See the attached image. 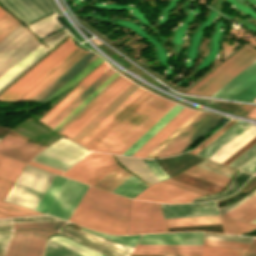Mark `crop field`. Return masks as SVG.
Listing matches in <instances>:
<instances>
[{
	"label": "crop field",
	"mask_w": 256,
	"mask_h": 256,
	"mask_svg": "<svg viewBox=\"0 0 256 256\" xmlns=\"http://www.w3.org/2000/svg\"><path fill=\"white\" fill-rule=\"evenodd\" d=\"M130 176L132 175L125 172L118 166L109 174H107L104 178H102L100 181L94 184V186L111 191L119 184L124 182L126 179H128Z\"/></svg>",
	"instance_id": "0bd39190"
},
{
	"label": "crop field",
	"mask_w": 256,
	"mask_h": 256,
	"mask_svg": "<svg viewBox=\"0 0 256 256\" xmlns=\"http://www.w3.org/2000/svg\"><path fill=\"white\" fill-rule=\"evenodd\" d=\"M98 55L93 52H89L82 59H80L77 63H75L71 68H69L66 72H64L60 77H58L54 82H52L49 86H47L43 91H41L38 95H36L30 101H44L50 95H52L56 90H58L61 86H63L66 82H68L72 77H74L77 73H79L82 69H84L88 64H90L94 59L97 58Z\"/></svg>",
	"instance_id": "a9b5d70f"
},
{
	"label": "crop field",
	"mask_w": 256,
	"mask_h": 256,
	"mask_svg": "<svg viewBox=\"0 0 256 256\" xmlns=\"http://www.w3.org/2000/svg\"><path fill=\"white\" fill-rule=\"evenodd\" d=\"M207 204H213V205L202 206V207H189V206L207 205ZM161 206H162L165 219L219 215L217 208L204 209V208L216 207V204L214 201L209 203H195V204H177V205L161 204Z\"/></svg>",
	"instance_id": "00972430"
},
{
	"label": "crop field",
	"mask_w": 256,
	"mask_h": 256,
	"mask_svg": "<svg viewBox=\"0 0 256 256\" xmlns=\"http://www.w3.org/2000/svg\"><path fill=\"white\" fill-rule=\"evenodd\" d=\"M198 101H202V100H198ZM202 102H205V103H208V104H211L212 102L210 101H202Z\"/></svg>",
	"instance_id": "180be81f"
},
{
	"label": "crop field",
	"mask_w": 256,
	"mask_h": 256,
	"mask_svg": "<svg viewBox=\"0 0 256 256\" xmlns=\"http://www.w3.org/2000/svg\"><path fill=\"white\" fill-rule=\"evenodd\" d=\"M55 174L25 166L6 202L35 210Z\"/></svg>",
	"instance_id": "ac0d7876"
},
{
	"label": "crop field",
	"mask_w": 256,
	"mask_h": 256,
	"mask_svg": "<svg viewBox=\"0 0 256 256\" xmlns=\"http://www.w3.org/2000/svg\"><path fill=\"white\" fill-rule=\"evenodd\" d=\"M144 160V159H143ZM144 162L147 164V166L151 169V171L155 174V176L158 178L159 181L164 180L166 178H169L164 171L160 168V166L156 163L155 160L149 161L144 160ZM153 174V175H154ZM156 178V179H157Z\"/></svg>",
	"instance_id": "7b73153f"
},
{
	"label": "crop field",
	"mask_w": 256,
	"mask_h": 256,
	"mask_svg": "<svg viewBox=\"0 0 256 256\" xmlns=\"http://www.w3.org/2000/svg\"><path fill=\"white\" fill-rule=\"evenodd\" d=\"M37 221H61L48 216L26 217L0 220V256H5L12 232L13 223L37 222ZM65 222V221H63Z\"/></svg>",
	"instance_id": "eef30255"
},
{
	"label": "crop field",
	"mask_w": 256,
	"mask_h": 256,
	"mask_svg": "<svg viewBox=\"0 0 256 256\" xmlns=\"http://www.w3.org/2000/svg\"><path fill=\"white\" fill-rule=\"evenodd\" d=\"M252 222L256 223V219H255V220H253Z\"/></svg>",
	"instance_id": "819c52e7"
},
{
	"label": "crop field",
	"mask_w": 256,
	"mask_h": 256,
	"mask_svg": "<svg viewBox=\"0 0 256 256\" xmlns=\"http://www.w3.org/2000/svg\"><path fill=\"white\" fill-rule=\"evenodd\" d=\"M86 53H88V51L77 47L13 101H29Z\"/></svg>",
	"instance_id": "733c2abd"
},
{
	"label": "crop field",
	"mask_w": 256,
	"mask_h": 256,
	"mask_svg": "<svg viewBox=\"0 0 256 256\" xmlns=\"http://www.w3.org/2000/svg\"><path fill=\"white\" fill-rule=\"evenodd\" d=\"M43 256H82L52 240H48Z\"/></svg>",
	"instance_id": "25e5ab78"
},
{
	"label": "crop field",
	"mask_w": 256,
	"mask_h": 256,
	"mask_svg": "<svg viewBox=\"0 0 256 256\" xmlns=\"http://www.w3.org/2000/svg\"><path fill=\"white\" fill-rule=\"evenodd\" d=\"M163 182H166V183H169V184H172V185L181 187V188H183V189H186V190H189V191H192V192L201 194V195L210 194V193H208V192H205V191H202V190H200V189H197V188H194V187H191V186L182 184V183H180V182H177V181H174V180H171V179L165 180V181H163Z\"/></svg>",
	"instance_id": "d14b1444"
},
{
	"label": "crop field",
	"mask_w": 256,
	"mask_h": 256,
	"mask_svg": "<svg viewBox=\"0 0 256 256\" xmlns=\"http://www.w3.org/2000/svg\"><path fill=\"white\" fill-rule=\"evenodd\" d=\"M87 187V185L67 179L47 214L68 220Z\"/></svg>",
	"instance_id": "d9b57169"
},
{
	"label": "crop field",
	"mask_w": 256,
	"mask_h": 256,
	"mask_svg": "<svg viewBox=\"0 0 256 256\" xmlns=\"http://www.w3.org/2000/svg\"><path fill=\"white\" fill-rule=\"evenodd\" d=\"M255 153H256V144L252 148H250L248 151H246L244 154H242L239 158H237L235 161H233L231 164H229V166L237 168L246 160H248L251 156H253Z\"/></svg>",
	"instance_id": "78b8030e"
},
{
	"label": "crop field",
	"mask_w": 256,
	"mask_h": 256,
	"mask_svg": "<svg viewBox=\"0 0 256 256\" xmlns=\"http://www.w3.org/2000/svg\"><path fill=\"white\" fill-rule=\"evenodd\" d=\"M164 256H167V255H164Z\"/></svg>",
	"instance_id": "a0ae1fb6"
},
{
	"label": "crop field",
	"mask_w": 256,
	"mask_h": 256,
	"mask_svg": "<svg viewBox=\"0 0 256 256\" xmlns=\"http://www.w3.org/2000/svg\"><path fill=\"white\" fill-rule=\"evenodd\" d=\"M115 71L108 69L92 85H90L79 97H77L66 109H64L54 120L47 126L51 129L58 124L67 114H69L77 105H79L88 95H90L99 85H101Z\"/></svg>",
	"instance_id": "d32e631a"
},
{
	"label": "crop field",
	"mask_w": 256,
	"mask_h": 256,
	"mask_svg": "<svg viewBox=\"0 0 256 256\" xmlns=\"http://www.w3.org/2000/svg\"><path fill=\"white\" fill-rule=\"evenodd\" d=\"M130 200L90 187L80 205L127 221Z\"/></svg>",
	"instance_id": "28ad6ade"
},
{
	"label": "crop field",
	"mask_w": 256,
	"mask_h": 256,
	"mask_svg": "<svg viewBox=\"0 0 256 256\" xmlns=\"http://www.w3.org/2000/svg\"><path fill=\"white\" fill-rule=\"evenodd\" d=\"M225 233L238 234L251 231L256 228L254 224L222 219Z\"/></svg>",
	"instance_id": "1f2cbd36"
},
{
	"label": "crop field",
	"mask_w": 256,
	"mask_h": 256,
	"mask_svg": "<svg viewBox=\"0 0 256 256\" xmlns=\"http://www.w3.org/2000/svg\"><path fill=\"white\" fill-rule=\"evenodd\" d=\"M51 234L41 230L14 231L6 256H41L45 239Z\"/></svg>",
	"instance_id": "5142ce71"
},
{
	"label": "crop field",
	"mask_w": 256,
	"mask_h": 256,
	"mask_svg": "<svg viewBox=\"0 0 256 256\" xmlns=\"http://www.w3.org/2000/svg\"><path fill=\"white\" fill-rule=\"evenodd\" d=\"M248 126L249 124L237 122L208 146L202 149L199 153H197V155L208 159Z\"/></svg>",
	"instance_id": "750c4746"
},
{
	"label": "crop field",
	"mask_w": 256,
	"mask_h": 256,
	"mask_svg": "<svg viewBox=\"0 0 256 256\" xmlns=\"http://www.w3.org/2000/svg\"><path fill=\"white\" fill-rule=\"evenodd\" d=\"M64 224L65 223H19V224H14V230L15 229H44V230H48L56 233Z\"/></svg>",
	"instance_id": "0fb4a251"
},
{
	"label": "crop field",
	"mask_w": 256,
	"mask_h": 256,
	"mask_svg": "<svg viewBox=\"0 0 256 256\" xmlns=\"http://www.w3.org/2000/svg\"><path fill=\"white\" fill-rule=\"evenodd\" d=\"M6 13H4L1 9H0V18L5 15Z\"/></svg>",
	"instance_id": "7312dd0a"
},
{
	"label": "crop field",
	"mask_w": 256,
	"mask_h": 256,
	"mask_svg": "<svg viewBox=\"0 0 256 256\" xmlns=\"http://www.w3.org/2000/svg\"><path fill=\"white\" fill-rule=\"evenodd\" d=\"M28 164L33 165V166H36V167H39V168H42V169H45V170H48V171H51V172H54V173H57V174H62V172H59V171H57V170L48 168V167H46V166L37 164V163L32 162V161L28 162Z\"/></svg>",
	"instance_id": "c5b07064"
},
{
	"label": "crop field",
	"mask_w": 256,
	"mask_h": 256,
	"mask_svg": "<svg viewBox=\"0 0 256 256\" xmlns=\"http://www.w3.org/2000/svg\"><path fill=\"white\" fill-rule=\"evenodd\" d=\"M95 60V59H94ZM101 62L97 59L93 61L90 65H88L84 70H82L79 74H77L74 78H72L68 83H66L63 87H61L58 91H56L52 96H50L45 101H50L53 98H55L57 95L77 83L79 80H81L85 75H87L91 70H93L97 65H99Z\"/></svg>",
	"instance_id": "dbb93151"
},
{
	"label": "crop field",
	"mask_w": 256,
	"mask_h": 256,
	"mask_svg": "<svg viewBox=\"0 0 256 256\" xmlns=\"http://www.w3.org/2000/svg\"><path fill=\"white\" fill-rule=\"evenodd\" d=\"M253 101H255V102H256V98H255Z\"/></svg>",
	"instance_id": "c821d689"
},
{
	"label": "crop field",
	"mask_w": 256,
	"mask_h": 256,
	"mask_svg": "<svg viewBox=\"0 0 256 256\" xmlns=\"http://www.w3.org/2000/svg\"><path fill=\"white\" fill-rule=\"evenodd\" d=\"M202 246L137 245L132 254L201 255Z\"/></svg>",
	"instance_id": "730fd06b"
},
{
	"label": "crop field",
	"mask_w": 256,
	"mask_h": 256,
	"mask_svg": "<svg viewBox=\"0 0 256 256\" xmlns=\"http://www.w3.org/2000/svg\"><path fill=\"white\" fill-rule=\"evenodd\" d=\"M69 221L89 229L109 234H125L127 224L126 221L80 205H78Z\"/></svg>",
	"instance_id": "d1516ede"
},
{
	"label": "crop field",
	"mask_w": 256,
	"mask_h": 256,
	"mask_svg": "<svg viewBox=\"0 0 256 256\" xmlns=\"http://www.w3.org/2000/svg\"><path fill=\"white\" fill-rule=\"evenodd\" d=\"M77 46L69 38L38 65L31 69L9 89L0 95V100H13ZM75 50V49H74ZM69 55V54H68Z\"/></svg>",
	"instance_id": "dd49c442"
},
{
	"label": "crop field",
	"mask_w": 256,
	"mask_h": 256,
	"mask_svg": "<svg viewBox=\"0 0 256 256\" xmlns=\"http://www.w3.org/2000/svg\"><path fill=\"white\" fill-rule=\"evenodd\" d=\"M81 230H84V231L93 233V234H95V235H98V236L103 237V238H105V239H108V240H110V241H115V242L121 243V244H123V245L132 247V248H134V246H135V244H136V242H137V240H138V238H139V236H140V235H133V236H109V235H105V234H100V233L88 231V230H85V229H83V228H81ZM81 230H80V231H81ZM84 231H82V232H84ZM84 233H86V232H84ZM86 234H88V233H86ZM88 235L93 236V237H95V238H97V239H99V240H101V241H103V242H106V243H108V244H110V245H112V246H114V247H116V248H119V249H121V250H123V251H125V252H127V253H129V254H130L131 251H132V248H129V247H126V246H122V245H118V244L111 243V242H109V241H107V240H104V239H102V238H98V237H96V236H94V235H92V234H88Z\"/></svg>",
	"instance_id": "e1f06a70"
},
{
	"label": "crop field",
	"mask_w": 256,
	"mask_h": 256,
	"mask_svg": "<svg viewBox=\"0 0 256 256\" xmlns=\"http://www.w3.org/2000/svg\"><path fill=\"white\" fill-rule=\"evenodd\" d=\"M143 90L138 89L134 94H132L122 105H120L110 116H108L98 127H96L86 138H84L80 144L84 145L89 139H91L102 127H104L114 116H116L126 105H128L138 94Z\"/></svg>",
	"instance_id": "89e229c0"
},
{
	"label": "crop field",
	"mask_w": 256,
	"mask_h": 256,
	"mask_svg": "<svg viewBox=\"0 0 256 256\" xmlns=\"http://www.w3.org/2000/svg\"><path fill=\"white\" fill-rule=\"evenodd\" d=\"M60 233L71 236V237L79 240L80 242H82V243H84V244H86V245H88V246H90V247H92V248H94V249H96L100 252H103V253L107 254L108 256H121V255L127 256L128 255V254H126V253H124V252H122L118 249H115V248H113V247H111V246H109L105 243H102V242H100V241H98L94 238H91V237H89V236H87V235H85L81 232H78V231H76V230H74V229H72L68 226H66ZM94 241L103 245V246H105V247H107V248H109V249H111V250H113V251H115V252H117V253H119V254H121V255H119V254H117V253H115V252H113V251L95 243Z\"/></svg>",
	"instance_id": "1d83c4d3"
},
{
	"label": "crop field",
	"mask_w": 256,
	"mask_h": 256,
	"mask_svg": "<svg viewBox=\"0 0 256 256\" xmlns=\"http://www.w3.org/2000/svg\"><path fill=\"white\" fill-rule=\"evenodd\" d=\"M167 227L221 223L219 216L165 220Z\"/></svg>",
	"instance_id": "b54c1fbb"
},
{
	"label": "crop field",
	"mask_w": 256,
	"mask_h": 256,
	"mask_svg": "<svg viewBox=\"0 0 256 256\" xmlns=\"http://www.w3.org/2000/svg\"><path fill=\"white\" fill-rule=\"evenodd\" d=\"M0 208L9 210L7 211V210L0 209V218L39 214V213L30 211L21 207H17L2 201H0Z\"/></svg>",
	"instance_id": "73cf0c24"
},
{
	"label": "crop field",
	"mask_w": 256,
	"mask_h": 256,
	"mask_svg": "<svg viewBox=\"0 0 256 256\" xmlns=\"http://www.w3.org/2000/svg\"><path fill=\"white\" fill-rule=\"evenodd\" d=\"M65 181H66V178L56 175L55 179L53 180L52 184L48 188L41 202L37 206L36 211L46 213V211L48 210L49 206L53 202L54 198L58 194L59 190L61 189Z\"/></svg>",
	"instance_id": "c035e120"
},
{
	"label": "crop field",
	"mask_w": 256,
	"mask_h": 256,
	"mask_svg": "<svg viewBox=\"0 0 256 256\" xmlns=\"http://www.w3.org/2000/svg\"><path fill=\"white\" fill-rule=\"evenodd\" d=\"M225 218H231L250 222L256 218V194L225 214Z\"/></svg>",
	"instance_id": "5866460e"
},
{
	"label": "crop field",
	"mask_w": 256,
	"mask_h": 256,
	"mask_svg": "<svg viewBox=\"0 0 256 256\" xmlns=\"http://www.w3.org/2000/svg\"><path fill=\"white\" fill-rule=\"evenodd\" d=\"M238 169L255 173L256 172V154L251 157L248 161H246L244 164H242Z\"/></svg>",
	"instance_id": "c39391a2"
},
{
	"label": "crop field",
	"mask_w": 256,
	"mask_h": 256,
	"mask_svg": "<svg viewBox=\"0 0 256 256\" xmlns=\"http://www.w3.org/2000/svg\"><path fill=\"white\" fill-rule=\"evenodd\" d=\"M0 3L25 25L53 12L57 17L61 15L52 0H0Z\"/></svg>",
	"instance_id": "22f410ed"
},
{
	"label": "crop field",
	"mask_w": 256,
	"mask_h": 256,
	"mask_svg": "<svg viewBox=\"0 0 256 256\" xmlns=\"http://www.w3.org/2000/svg\"><path fill=\"white\" fill-rule=\"evenodd\" d=\"M117 62H119L120 64H122V65H124V66H128L129 64L128 63H126L124 60H122L121 58L117 61ZM125 67V68H126Z\"/></svg>",
	"instance_id": "fb207236"
},
{
	"label": "crop field",
	"mask_w": 256,
	"mask_h": 256,
	"mask_svg": "<svg viewBox=\"0 0 256 256\" xmlns=\"http://www.w3.org/2000/svg\"><path fill=\"white\" fill-rule=\"evenodd\" d=\"M250 176H251V174L239 171L236 174V176L234 177V179L232 180V182L229 185V187L225 191L217 193V194H214V195H210V196H207V197H204V198L194 199V200H192V202L213 200V199H217V198H220V197H224V196L230 195L239 186H241Z\"/></svg>",
	"instance_id": "03da06ac"
},
{
	"label": "crop field",
	"mask_w": 256,
	"mask_h": 256,
	"mask_svg": "<svg viewBox=\"0 0 256 256\" xmlns=\"http://www.w3.org/2000/svg\"><path fill=\"white\" fill-rule=\"evenodd\" d=\"M147 187L148 185L132 176L112 192L129 198H134Z\"/></svg>",
	"instance_id": "b80d0937"
},
{
	"label": "crop field",
	"mask_w": 256,
	"mask_h": 256,
	"mask_svg": "<svg viewBox=\"0 0 256 256\" xmlns=\"http://www.w3.org/2000/svg\"><path fill=\"white\" fill-rule=\"evenodd\" d=\"M109 67L103 62L90 74H88L83 81L76 86L62 101H60L54 108H52L39 121L46 125L54 119L65 107H67L77 96H79L90 84H92L103 72Z\"/></svg>",
	"instance_id": "dafd665d"
},
{
	"label": "crop field",
	"mask_w": 256,
	"mask_h": 256,
	"mask_svg": "<svg viewBox=\"0 0 256 256\" xmlns=\"http://www.w3.org/2000/svg\"><path fill=\"white\" fill-rule=\"evenodd\" d=\"M15 21L7 14L0 19V41L20 25Z\"/></svg>",
	"instance_id": "9d1cf04e"
},
{
	"label": "crop field",
	"mask_w": 256,
	"mask_h": 256,
	"mask_svg": "<svg viewBox=\"0 0 256 256\" xmlns=\"http://www.w3.org/2000/svg\"><path fill=\"white\" fill-rule=\"evenodd\" d=\"M255 107L242 105L239 109L235 111V113L245 116Z\"/></svg>",
	"instance_id": "ade564c9"
},
{
	"label": "crop field",
	"mask_w": 256,
	"mask_h": 256,
	"mask_svg": "<svg viewBox=\"0 0 256 256\" xmlns=\"http://www.w3.org/2000/svg\"><path fill=\"white\" fill-rule=\"evenodd\" d=\"M122 76H118L114 81H112L102 92H100L89 104H87L76 116H74L64 127H62L58 133H60L64 128H66L74 119H76L85 109H87L95 100H97L106 90H108L117 80H119Z\"/></svg>",
	"instance_id": "0f1d7ab4"
},
{
	"label": "crop field",
	"mask_w": 256,
	"mask_h": 256,
	"mask_svg": "<svg viewBox=\"0 0 256 256\" xmlns=\"http://www.w3.org/2000/svg\"><path fill=\"white\" fill-rule=\"evenodd\" d=\"M196 196L200 195L160 182L147 188L135 199L162 203H180L189 202Z\"/></svg>",
	"instance_id": "4a817a6b"
},
{
	"label": "crop field",
	"mask_w": 256,
	"mask_h": 256,
	"mask_svg": "<svg viewBox=\"0 0 256 256\" xmlns=\"http://www.w3.org/2000/svg\"><path fill=\"white\" fill-rule=\"evenodd\" d=\"M256 96V61L210 97L250 102Z\"/></svg>",
	"instance_id": "3316defc"
},
{
	"label": "crop field",
	"mask_w": 256,
	"mask_h": 256,
	"mask_svg": "<svg viewBox=\"0 0 256 256\" xmlns=\"http://www.w3.org/2000/svg\"><path fill=\"white\" fill-rule=\"evenodd\" d=\"M255 248H256V239H254V241L252 242V244L250 245L249 249L247 250L244 256H251Z\"/></svg>",
	"instance_id": "c3a83c6f"
},
{
	"label": "crop field",
	"mask_w": 256,
	"mask_h": 256,
	"mask_svg": "<svg viewBox=\"0 0 256 256\" xmlns=\"http://www.w3.org/2000/svg\"><path fill=\"white\" fill-rule=\"evenodd\" d=\"M2 160H3V157H0V163L2 162Z\"/></svg>",
	"instance_id": "1f1604b0"
},
{
	"label": "crop field",
	"mask_w": 256,
	"mask_h": 256,
	"mask_svg": "<svg viewBox=\"0 0 256 256\" xmlns=\"http://www.w3.org/2000/svg\"><path fill=\"white\" fill-rule=\"evenodd\" d=\"M38 43L21 25L4 38L0 42V77L39 46Z\"/></svg>",
	"instance_id": "412701ff"
},
{
	"label": "crop field",
	"mask_w": 256,
	"mask_h": 256,
	"mask_svg": "<svg viewBox=\"0 0 256 256\" xmlns=\"http://www.w3.org/2000/svg\"><path fill=\"white\" fill-rule=\"evenodd\" d=\"M194 113L195 111L184 108L133 156L146 158Z\"/></svg>",
	"instance_id": "214f88e0"
},
{
	"label": "crop field",
	"mask_w": 256,
	"mask_h": 256,
	"mask_svg": "<svg viewBox=\"0 0 256 256\" xmlns=\"http://www.w3.org/2000/svg\"><path fill=\"white\" fill-rule=\"evenodd\" d=\"M61 26L57 20L55 15H51L31 26H29L30 30H32L35 34H37L40 38L56 31L61 28Z\"/></svg>",
	"instance_id": "c21b1889"
},
{
	"label": "crop field",
	"mask_w": 256,
	"mask_h": 256,
	"mask_svg": "<svg viewBox=\"0 0 256 256\" xmlns=\"http://www.w3.org/2000/svg\"><path fill=\"white\" fill-rule=\"evenodd\" d=\"M88 153L89 150L62 138L38 153L32 161L64 172Z\"/></svg>",
	"instance_id": "f4fd0767"
},
{
	"label": "crop field",
	"mask_w": 256,
	"mask_h": 256,
	"mask_svg": "<svg viewBox=\"0 0 256 256\" xmlns=\"http://www.w3.org/2000/svg\"><path fill=\"white\" fill-rule=\"evenodd\" d=\"M254 60L256 51L246 46L187 93L210 96Z\"/></svg>",
	"instance_id": "34b2d1b8"
},
{
	"label": "crop field",
	"mask_w": 256,
	"mask_h": 256,
	"mask_svg": "<svg viewBox=\"0 0 256 256\" xmlns=\"http://www.w3.org/2000/svg\"><path fill=\"white\" fill-rule=\"evenodd\" d=\"M118 75L119 74L115 72L111 77H109L100 87H98L90 96H88L79 106H77L68 116H66L52 130L57 132L63 125H65L76 113H78L88 102H90L101 90H103Z\"/></svg>",
	"instance_id": "d23c7cc5"
},
{
	"label": "crop field",
	"mask_w": 256,
	"mask_h": 256,
	"mask_svg": "<svg viewBox=\"0 0 256 256\" xmlns=\"http://www.w3.org/2000/svg\"><path fill=\"white\" fill-rule=\"evenodd\" d=\"M222 120L210 113L201 114L154 158L182 153Z\"/></svg>",
	"instance_id": "d8731c3e"
},
{
	"label": "crop field",
	"mask_w": 256,
	"mask_h": 256,
	"mask_svg": "<svg viewBox=\"0 0 256 256\" xmlns=\"http://www.w3.org/2000/svg\"><path fill=\"white\" fill-rule=\"evenodd\" d=\"M243 250L204 247L203 256H240Z\"/></svg>",
	"instance_id": "1d79db26"
},
{
	"label": "crop field",
	"mask_w": 256,
	"mask_h": 256,
	"mask_svg": "<svg viewBox=\"0 0 256 256\" xmlns=\"http://www.w3.org/2000/svg\"><path fill=\"white\" fill-rule=\"evenodd\" d=\"M117 166L110 155L90 153L62 175L93 185Z\"/></svg>",
	"instance_id": "5a996713"
},
{
	"label": "crop field",
	"mask_w": 256,
	"mask_h": 256,
	"mask_svg": "<svg viewBox=\"0 0 256 256\" xmlns=\"http://www.w3.org/2000/svg\"><path fill=\"white\" fill-rule=\"evenodd\" d=\"M44 149L34 143L7 135L0 143V155L27 163Z\"/></svg>",
	"instance_id": "bc2a9ffb"
},
{
	"label": "crop field",
	"mask_w": 256,
	"mask_h": 256,
	"mask_svg": "<svg viewBox=\"0 0 256 256\" xmlns=\"http://www.w3.org/2000/svg\"><path fill=\"white\" fill-rule=\"evenodd\" d=\"M184 173H187V174H190V175H193V176H196V177H199V178H202V179H205V180H208V181H211V182L223 185V186L226 185V183L229 179V178H226L224 176L212 173L210 171L201 169V168L196 167V166L188 169Z\"/></svg>",
	"instance_id": "425ffa30"
},
{
	"label": "crop field",
	"mask_w": 256,
	"mask_h": 256,
	"mask_svg": "<svg viewBox=\"0 0 256 256\" xmlns=\"http://www.w3.org/2000/svg\"><path fill=\"white\" fill-rule=\"evenodd\" d=\"M67 34H69V33L67 32L66 29H64L60 32H57V33L43 39L42 41L44 43H46L48 46L52 47L54 44H56L59 40H61Z\"/></svg>",
	"instance_id": "e1d0b9f6"
},
{
	"label": "crop field",
	"mask_w": 256,
	"mask_h": 256,
	"mask_svg": "<svg viewBox=\"0 0 256 256\" xmlns=\"http://www.w3.org/2000/svg\"><path fill=\"white\" fill-rule=\"evenodd\" d=\"M205 239L221 240V241H233V242H244V243H250V241L252 240V238H248V237L213 235V234H209V233H205Z\"/></svg>",
	"instance_id": "0765c3eb"
},
{
	"label": "crop field",
	"mask_w": 256,
	"mask_h": 256,
	"mask_svg": "<svg viewBox=\"0 0 256 256\" xmlns=\"http://www.w3.org/2000/svg\"><path fill=\"white\" fill-rule=\"evenodd\" d=\"M254 136H256V128L250 125L247 129H245L242 133L230 141L226 146H224L221 150L209 158V160L221 163L231 154L237 151L240 147H242L245 143L251 140Z\"/></svg>",
	"instance_id": "d3111659"
},
{
	"label": "crop field",
	"mask_w": 256,
	"mask_h": 256,
	"mask_svg": "<svg viewBox=\"0 0 256 256\" xmlns=\"http://www.w3.org/2000/svg\"><path fill=\"white\" fill-rule=\"evenodd\" d=\"M131 83L122 77L61 134L72 139Z\"/></svg>",
	"instance_id": "cbeb9de0"
},
{
	"label": "crop field",
	"mask_w": 256,
	"mask_h": 256,
	"mask_svg": "<svg viewBox=\"0 0 256 256\" xmlns=\"http://www.w3.org/2000/svg\"><path fill=\"white\" fill-rule=\"evenodd\" d=\"M158 204L132 201L127 234L166 232Z\"/></svg>",
	"instance_id": "e52e79f7"
},
{
	"label": "crop field",
	"mask_w": 256,
	"mask_h": 256,
	"mask_svg": "<svg viewBox=\"0 0 256 256\" xmlns=\"http://www.w3.org/2000/svg\"><path fill=\"white\" fill-rule=\"evenodd\" d=\"M234 121H231L226 126H224L222 129H220L218 132H216L214 135H212L209 139H207L205 142H203L201 145H199L194 150L190 151V153L196 154L199 152L202 148H204L207 144H209L212 140H214L217 136H219L222 132H224L227 128H229L232 124H234Z\"/></svg>",
	"instance_id": "ae633e8c"
},
{
	"label": "crop field",
	"mask_w": 256,
	"mask_h": 256,
	"mask_svg": "<svg viewBox=\"0 0 256 256\" xmlns=\"http://www.w3.org/2000/svg\"><path fill=\"white\" fill-rule=\"evenodd\" d=\"M139 87L131 84L124 90L111 104H109L95 119H93L80 133H78L72 140L80 142L86 137L97 125H99L109 114H111L122 102H124L134 91Z\"/></svg>",
	"instance_id": "4177f3b9"
},
{
	"label": "crop field",
	"mask_w": 256,
	"mask_h": 256,
	"mask_svg": "<svg viewBox=\"0 0 256 256\" xmlns=\"http://www.w3.org/2000/svg\"><path fill=\"white\" fill-rule=\"evenodd\" d=\"M174 106L144 91L84 146L122 154Z\"/></svg>",
	"instance_id": "8a807250"
},
{
	"label": "crop field",
	"mask_w": 256,
	"mask_h": 256,
	"mask_svg": "<svg viewBox=\"0 0 256 256\" xmlns=\"http://www.w3.org/2000/svg\"><path fill=\"white\" fill-rule=\"evenodd\" d=\"M114 156L126 169L138 175L149 184L158 182L156 177L153 175V173L146 166V164L143 162L142 159L117 156V155H114Z\"/></svg>",
	"instance_id": "120bbe31"
},
{
	"label": "crop field",
	"mask_w": 256,
	"mask_h": 256,
	"mask_svg": "<svg viewBox=\"0 0 256 256\" xmlns=\"http://www.w3.org/2000/svg\"><path fill=\"white\" fill-rule=\"evenodd\" d=\"M24 164L4 158L0 165V200H3Z\"/></svg>",
	"instance_id": "ae1a2a85"
},
{
	"label": "crop field",
	"mask_w": 256,
	"mask_h": 256,
	"mask_svg": "<svg viewBox=\"0 0 256 256\" xmlns=\"http://www.w3.org/2000/svg\"><path fill=\"white\" fill-rule=\"evenodd\" d=\"M46 50L47 48L40 45L33 52H31L27 57H25L22 61H20L16 66H14L10 71H8L5 75H3L0 78V88L3 87L7 82H9L13 77H15L19 72H21L25 67H27L31 62H33L37 57H39Z\"/></svg>",
	"instance_id": "028f5c9d"
},
{
	"label": "crop field",
	"mask_w": 256,
	"mask_h": 256,
	"mask_svg": "<svg viewBox=\"0 0 256 256\" xmlns=\"http://www.w3.org/2000/svg\"><path fill=\"white\" fill-rule=\"evenodd\" d=\"M182 109L183 107L176 105L172 110H170L161 120H159L150 130H148L139 140H137L123 154L132 156L137 150H139L150 138H152L164 125H166Z\"/></svg>",
	"instance_id": "bd1437ed"
},
{
	"label": "crop field",
	"mask_w": 256,
	"mask_h": 256,
	"mask_svg": "<svg viewBox=\"0 0 256 256\" xmlns=\"http://www.w3.org/2000/svg\"><path fill=\"white\" fill-rule=\"evenodd\" d=\"M204 246L246 249L248 244L205 240Z\"/></svg>",
	"instance_id": "db79e9e6"
},
{
	"label": "crop field",
	"mask_w": 256,
	"mask_h": 256,
	"mask_svg": "<svg viewBox=\"0 0 256 256\" xmlns=\"http://www.w3.org/2000/svg\"><path fill=\"white\" fill-rule=\"evenodd\" d=\"M203 233H167L142 235L138 244L202 245Z\"/></svg>",
	"instance_id": "92a150f3"
},
{
	"label": "crop field",
	"mask_w": 256,
	"mask_h": 256,
	"mask_svg": "<svg viewBox=\"0 0 256 256\" xmlns=\"http://www.w3.org/2000/svg\"><path fill=\"white\" fill-rule=\"evenodd\" d=\"M50 239L84 255V256H105L104 254L94 251L92 249H89L75 241H72L64 236H60V235H54L52 236Z\"/></svg>",
	"instance_id": "5d738f31"
},
{
	"label": "crop field",
	"mask_w": 256,
	"mask_h": 256,
	"mask_svg": "<svg viewBox=\"0 0 256 256\" xmlns=\"http://www.w3.org/2000/svg\"><path fill=\"white\" fill-rule=\"evenodd\" d=\"M200 113L196 112L191 118H189L178 130H176L166 141H164L153 153L147 158L152 159L157 153H159L169 142H171L182 130H184L194 119H196Z\"/></svg>",
	"instance_id": "447ae74e"
},
{
	"label": "crop field",
	"mask_w": 256,
	"mask_h": 256,
	"mask_svg": "<svg viewBox=\"0 0 256 256\" xmlns=\"http://www.w3.org/2000/svg\"><path fill=\"white\" fill-rule=\"evenodd\" d=\"M252 256H256V250H255V252L253 253V255Z\"/></svg>",
	"instance_id": "f0312440"
}]
</instances>
